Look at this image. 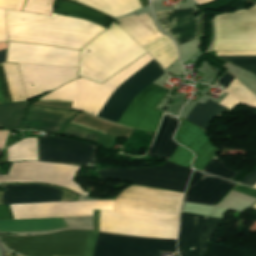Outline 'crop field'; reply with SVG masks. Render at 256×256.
<instances>
[{
	"instance_id": "3",
	"label": "crop field",
	"mask_w": 256,
	"mask_h": 256,
	"mask_svg": "<svg viewBox=\"0 0 256 256\" xmlns=\"http://www.w3.org/2000/svg\"><path fill=\"white\" fill-rule=\"evenodd\" d=\"M80 167L41 162L13 164L0 183L46 182L85 193L71 179ZM16 219L93 215V209L113 211V201L55 202L11 205ZM10 205H0V219L14 218Z\"/></svg>"
},
{
	"instance_id": "21",
	"label": "crop field",
	"mask_w": 256,
	"mask_h": 256,
	"mask_svg": "<svg viewBox=\"0 0 256 256\" xmlns=\"http://www.w3.org/2000/svg\"><path fill=\"white\" fill-rule=\"evenodd\" d=\"M64 226L62 218L0 221V231H39Z\"/></svg>"
},
{
	"instance_id": "16",
	"label": "crop field",
	"mask_w": 256,
	"mask_h": 256,
	"mask_svg": "<svg viewBox=\"0 0 256 256\" xmlns=\"http://www.w3.org/2000/svg\"><path fill=\"white\" fill-rule=\"evenodd\" d=\"M61 190L35 184L5 185L2 204L60 201Z\"/></svg>"
},
{
	"instance_id": "7",
	"label": "crop field",
	"mask_w": 256,
	"mask_h": 256,
	"mask_svg": "<svg viewBox=\"0 0 256 256\" xmlns=\"http://www.w3.org/2000/svg\"><path fill=\"white\" fill-rule=\"evenodd\" d=\"M85 230L60 231L31 237H0L3 243L29 256H81Z\"/></svg>"
},
{
	"instance_id": "14",
	"label": "crop field",
	"mask_w": 256,
	"mask_h": 256,
	"mask_svg": "<svg viewBox=\"0 0 256 256\" xmlns=\"http://www.w3.org/2000/svg\"><path fill=\"white\" fill-rule=\"evenodd\" d=\"M155 13L159 24L178 45L197 38V22L192 8Z\"/></svg>"
},
{
	"instance_id": "29",
	"label": "crop field",
	"mask_w": 256,
	"mask_h": 256,
	"mask_svg": "<svg viewBox=\"0 0 256 256\" xmlns=\"http://www.w3.org/2000/svg\"><path fill=\"white\" fill-rule=\"evenodd\" d=\"M222 59H256V56H219ZM256 75V60H226Z\"/></svg>"
},
{
	"instance_id": "23",
	"label": "crop field",
	"mask_w": 256,
	"mask_h": 256,
	"mask_svg": "<svg viewBox=\"0 0 256 256\" xmlns=\"http://www.w3.org/2000/svg\"><path fill=\"white\" fill-rule=\"evenodd\" d=\"M228 109L219 106L211 101H207L204 105L197 103L186 120L196 124L203 130L207 131V128L211 121L221 113Z\"/></svg>"
},
{
	"instance_id": "17",
	"label": "crop field",
	"mask_w": 256,
	"mask_h": 256,
	"mask_svg": "<svg viewBox=\"0 0 256 256\" xmlns=\"http://www.w3.org/2000/svg\"><path fill=\"white\" fill-rule=\"evenodd\" d=\"M30 111L69 117V118H72L76 113V111H72V110L36 106V105H32ZM68 120H69L68 118L30 112L22 128L44 130L49 132H58Z\"/></svg>"
},
{
	"instance_id": "13",
	"label": "crop field",
	"mask_w": 256,
	"mask_h": 256,
	"mask_svg": "<svg viewBox=\"0 0 256 256\" xmlns=\"http://www.w3.org/2000/svg\"><path fill=\"white\" fill-rule=\"evenodd\" d=\"M233 185L225 179L194 170L183 201L213 205Z\"/></svg>"
},
{
	"instance_id": "41",
	"label": "crop field",
	"mask_w": 256,
	"mask_h": 256,
	"mask_svg": "<svg viewBox=\"0 0 256 256\" xmlns=\"http://www.w3.org/2000/svg\"><path fill=\"white\" fill-rule=\"evenodd\" d=\"M252 208L256 209V204L252 206Z\"/></svg>"
},
{
	"instance_id": "22",
	"label": "crop field",
	"mask_w": 256,
	"mask_h": 256,
	"mask_svg": "<svg viewBox=\"0 0 256 256\" xmlns=\"http://www.w3.org/2000/svg\"><path fill=\"white\" fill-rule=\"evenodd\" d=\"M77 2L115 17H121L141 7L138 0H79Z\"/></svg>"
},
{
	"instance_id": "36",
	"label": "crop field",
	"mask_w": 256,
	"mask_h": 256,
	"mask_svg": "<svg viewBox=\"0 0 256 256\" xmlns=\"http://www.w3.org/2000/svg\"><path fill=\"white\" fill-rule=\"evenodd\" d=\"M203 30H204V14H201L200 15V21H199L198 35H203Z\"/></svg>"
},
{
	"instance_id": "9",
	"label": "crop field",
	"mask_w": 256,
	"mask_h": 256,
	"mask_svg": "<svg viewBox=\"0 0 256 256\" xmlns=\"http://www.w3.org/2000/svg\"><path fill=\"white\" fill-rule=\"evenodd\" d=\"M191 169L168 161L162 167L144 169L109 168L97 171L99 178L123 180L137 185L185 191Z\"/></svg>"
},
{
	"instance_id": "6",
	"label": "crop field",
	"mask_w": 256,
	"mask_h": 256,
	"mask_svg": "<svg viewBox=\"0 0 256 256\" xmlns=\"http://www.w3.org/2000/svg\"><path fill=\"white\" fill-rule=\"evenodd\" d=\"M11 101L27 100L16 64L2 65ZM0 65V103L11 102ZM27 98L37 96L77 78L78 68L18 64ZM34 85L31 87L30 85Z\"/></svg>"
},
{
	"instance_id": "38",
	"label": "crop field",
	"mask_w": 256,
	"mask_h": 256,
	"mask_svg": "<svg viewBox=\"0 0 256 256\" xmlns=\"http://www.w3.org/2000/svg\"><path fill=\"white\" fill-rule=\"evenodd\" d=\"M210 28H211V39H210L209 46H211V44H212L213 35H214V31H213V27H212V22H211V21H210ZM209 46H208V47H209Z\"/></svg>"
},
{
	"instance_id": "31",
	"label": "crop field",
	"mask_w": 256,
	"mask_h": 256,
	"mask_svg": "<svg viewBox=\"0 0 256 256\" xmlns=\"http://www.w3.org/2000/svg\"><path fill=\"white\" fill-rule=\"evenodd\" d=\"M24 0H0V8L21 10Z\"/></svg>"
},
{
	"instance_id": "33",
	"label": "crop field",
	"mask_w": 256,
	"mask_h": 256,
	"mask_svg": "<svg viewBox=\"0 0 256 256\" xmlns=\"http://www.w3.org/2000/svg\"><path fill=\"white\" fill-rule=\"evenodd\" d=\"M255 178H256V169L239 183L248 186ZM249 186L256 187V179Z\"/></svg>"
},
{
	"instance_id": "20",
	"label": "crop field",
	"mask_w": 256,
	"mask_h": 256,
	"mask_svg": "<svg viewBox=\"0 0 256 256\" xmlns=\"http://www.w3.org/2000/svg\"><path fill=\"white\" fill-rule=\"evenodd\" d=\"M54 11L91 21L102 27H105L108 22L107 15L70 0H59Z\"/></svg>"
},
{
	"instance_id": "32",
	"label": "crop field",
	"mask_w": 256,
	"mask_h": 256,
	"mask_svg": "<svg viewBox=\"0 0 256 256\" xmlns=\"http://www.w3.org/2000/svg\"><path fill=\"white\" fill-rule=\"evenodd\" d=\"M234 191L256 198V189H253V188H249V187L238 184L234 189Z\"/></svg>"
},
{
	"instance_id": "10",
	"label": "crop field",
	"mask_w": 256,
	"mask_h": 256,
	"mask_svg": "<svg viewBox=\"0 0 256 256\" xmlns=\"http://www.w3.org/2000/svg\"><path fill=\"white\" fill-rule=\"evenodd\" d=\"M79 52L52 46L9 43L7 62L78 67Z\"/></svg>"
},
{
	"instance_id": "2",
	"label": "crop field",
	"mask_w": 256,
	"mask_h": 256,
	"mask_svg": "<svg viewBox=\"0 0 256 256\" xmlns=\"http://www.w3.org/2000/svg\"><path fill=\"white\" fill-rule=\"evenodd\" d=\"M150 59L152 58L146 54L102 85L83 78L73 80L41 100L72 101L71 108L96 115L113 89ZM157 65L152 59L120 83L108 97L97 116L117 123L133 98L164 73ZM166 92L167 89L151 83L129 104L118 124L156 131L163 112L154 109Z\"/></svg>"
},
{
	"instance_id": "34",
	"label": "crop field",
	"mask_w": 256,
	"mask_h": 256,
	"mask_svg": "<svg viewBox=\"0 0 256 256\" xmlns=\"http://www.w3.org/2000/svg\"><path fill=\"white\" fill-rule=\"evenodd\" d=\"M234 77L230 76L229 74H225L221 79H219L216 83L224 86L227 88V86L230 84V82L233 80Z\"/></svg>"
},
{
	"instance_id": "26",
	"label": "crop field",
	"mask_w": 256,
	"mask_h": 256,
	"mask_svg": "<svg viewBox=\"0 0 256 256\" xmlns=\"http://www.w3.org/2000/svg\"><path fill=\"white\" fill-rule=\"evenodd\" d=\"M54 1L55 0H26L22 11L51 16Z\"/></svg>"
},
{
	"instance_id": "12",
	"label": "crop field",
	"mask_w": 256,
	"mask_h": 256,
	"mask_svg": "<svg viewBox=\"0 0 256 256\" xmlns=\"http://www.w3.org/2000/svg\"><path fill=\"white\" fill-rule=\"evenodd\" d=\"M219 221V218L181 213L178 238L180 256H202Z\"/></svg>"
},
{
	"instance_id": "15",
	"label": "crop field",
	"mask_w": 256,
	"mask_h": 256,
	"mask_svg": "<svg viewBox=\"0 0 256 256\" xmlns=\"http://www.w3.org/2000/svg\"><path fill=\"white\" fill-rule=\"evenodd\" d=\"M174 139L194 152L195 159L192 166L199 171L218 151L207 140L204 131L184 121L174 135Z\"/></svg>"
},
{
	"instance_id": "30",
	"label": "crop field",
	"mask_w": 256,
	"mask_h": 256,
	"mask_svg": "<svg viewBox=\"0 0 256 256\" xmlns=\"http://www.w3.org/2000/svg\"><path fill=\"white\" fill-rule=\"evenodd\" d=\"M192 158L193 154L190 151L178 145L170 161L187 167Z\"/></svg>"
},
{
	"instance_id": "40",
	"label": "crop field",
	"mask_w": 256,
	"mask_h": 256,
	"mask_svg": "<svg viewBox=\"0 0 256 256\" xmlns=\"http://www.w3.org/2000/svg\"><path fill=\"white\" fill-rule=\"evenodd\" d=\"M142 7L148 5V0H140Z\"/></svg>"
},
{
	"instance_id": "42",
	"label": "crop field",
	"mask_w": 256,
	"mask_h": 256,
	"mask_svg": "<svg viewBox=\"0 0 256 256\" xmlns=\"http://www.w3.org/2000/svg\"><path fill=\"white\" fill-rule=\"evenodd\" d=\"M183 205H184V204H183ZM183 205H182L181 211H182V209H183Z\"/></svg>"
},
{
	"instance_id": "24",
	"label": "crop field",
	"mask_w": 256,
	"mask_h": 256,
	"mask_svg": "<svg viewBox=\"0 0 256 256\" xmlns=\"http://www.w3.org/2000/svg\"><path fill=\"white\" fill-rule=\"evenodd\" d=\"M27 101L0 104V128H19Z\"/></svg>"
},
{
	"instance_id": "37",
	"label": "crop field",
	"mask_w": 256,
	"mask_h": 256,
	"mask_svg": "<svg viewBox=\"0 0 256 256\" xmlns=\"http://www.w3.org/2000/svg\"><path fill=\"white\" fill-rule=\"evenodd\" d=\"M6 49L0 51V63L5 62Z\"/></svg>"
},
{
	"instance_id": "8",
	"label": "crop field",
	"mask_w": 256,
	"mask_h": 256,
	"mask_svg": "<svg viewBox=\"0 0 256 256\" xmlns=\"http://www.w3.org/2000/svg\"><path fill=\"white\" fill-rule=\"evenodd\" d=\"M214 51L256 50V6L215 17Z\"/></svg>"
},
{
	"instance_id": "5",
	"label": "crop field",
	"mask_w": 256,
	"mask_h": 256,
	"mask_svg": "<svg viewBox=\"0 0 256 256\" xmlns=\"http://www.w3.org/2000/svg\"><path fill=\"white\" fill-rule=\"evenodd\" d=\"M145 53L113 22L81 51L79 75L101 83Z\"/></svg>"
},
{
	"instance_id": "25",
	"label": "crop field",
	"mask_w": 256,
	"mask_h": 256,
	"mask_svg": "<svg viewBox=\"0 0 256 256\" xmlns=\"http://www.w3.org/2000/svg\"><path fill=\"white\" fill-rule=\"evenodd\" d=\"M8 162L17 160L37 161L36 138H26L7 148Z\"/></svg>"
},
{
	"instance_id": "27",
	"label": "crop field",
	"mask_w": 256,
	"mask_h": 256,
	"mask_svg": "<svg viewBox=\"0 0 256 256\" xmlns=\"http://www.w3.org/2000/svg\"><path fill=\"white\" fill-rule=\"evenodd\" d=\"M211 161V160H210ZM203 172L219 176L222 178L232 180L238 171L227 168L223 163H221L217 158H213L212 161L205 167Z\"/></svg>"
},
{
	"instance_id": "28",
	"label": "crop field",
	"mask_w": 256,
	"mask_h": 256,
	"mask_svg": "<svg viewBox=\"0 0 256 256\" xmlns=\"http://www.w3.org/2000/svg\"><path fill=\"white\" fill-rule=\"evenodd\" d=\"M63 132L88 138L95 141H97L100 137H102L105 134L101 131H97V130L87 128L81 125L73 124V123H70Z\"/></svg>"
},
{
	"instance_id": "18",
	"label": "crop field",
	"mask_w": 256,
	"mask_h": 256,
	"mask_svg": "<svg viewBox=\"0 0 256 256\" xmlns=\"http://www.w3.org/2000/svg\"><path fill=\"white\" fill-rule=\"evenodd\" d=\"M118 25L141 47L164 36L154 26L146 14L117 19Z\"/></svg>"
},
{
	"instance_id": "19",
	"label": "crop field",
	"mask_w": 256,
	"mask_h": 256,
	"mask_svg": "<svg viewBox=\"0 0 256 256\" xmlns=\"http://www.w3.org/2000/svg\"><path fill=\"white\" fill-rule=\"evenodd\" d=\"M178 126L176 118L164 114L157 136L148 152V155L169 160L177 147V143L172 140V133Z\"/></svg>"
},
{
	"instance_id": "4",
	"label": "crop field",
	"mask_w": 256,
	"mask_h": 256,
	"mask_svg": "<svg viewBox=\"0 0 256 256\" xmlns=\"http://www.w3.org/2000/svg\"><path fill=\"white\" fill-rule=\"evenodd\" d=\"M9 41L52 45L80 50L104 28L84 20L4 10ZM7 41L0 9V42Z\"/></svg>"
},
{
	"instance_id": "1",
	"label": "crop field",
	"mask_w": 256,
	"mask_h": 256,
	"mask_svg": "<svg viewBox=\"0 0 256 256\" xmlns=\"http://www.w3.org/2000/svg\"><path fill=\"white\" fill-rule=\"evenodd\" d=\"M182 193L132 185L114 199V211L178 217ZM100 211V231L176 239L178 218ZM100 232L93 256H160L176 240Z\"/></svg>"
},
{
	"instance_id": "39",
	"label": "crop field",
	"mask_w": 256,
	"mask_h": 256,
	"mask_svg": "<svg viewBox=\"0 0 256 256\" xmlns=\"http://www.w3.org/2000/svg\"><path fill=\"white\" fill-rule=\"evenodd\" d=\"M195 1H197L199 4H203V3H208L213 0H195Z\"/></svg>"
},
{
	"instance_id": "11",
	"label": "crop field",
	"mask_w": 256,
	"mask_h": 256,
	"mask_svg": "<svg viewBox=\"0 0 256 256\" xmlns=\"http://www.w3.org/2000/svg\"><path fill=\"white\" fill-rule=\"evenodd\" d=\"M39 161L94 165L96 147L81 141L38 138Z\"/></svg>"
},
{
	"instance_id": "35",
	"label": "crop field",
	"mask_w": 256,
	"mask_h": 256,
	"mask_svg": "<svg viewBox=\"0 0 256 256\" xmlns=\"http://www.w3.org/2000/svg\"><path fill=\"white\" fill-rule=\"evenodd\" d=\"M8 133H9V131H2V130H0V148L3 147L5 139H6L7 135H8Z\"/></svg>"
}]
</instances>
